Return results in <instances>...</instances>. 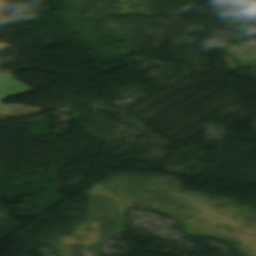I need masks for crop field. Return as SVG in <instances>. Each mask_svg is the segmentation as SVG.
<instances>
[{"mask_svg":"<svg viewBox=\"0 0 256 256\" xmlns=\"http://www.w3.org/2000/svg\"><path fill=\"white\" fill-rule=\"evenodd\" d=\"M0 114H6L1 102H0Z\"/></svg>","mask_w":256,"mask_h":256,"instance_id":"2","label":"crop field"},{"mask_svg":"<svg viewBox=\"0 0 256 256\" xmlns=\"http://www.w3.org/2000/svg\"><path fill=\"white\" fill-rule=\"evenodd\" d=\"M30 89L18 82L10 73L0 75V100Z\"/></svg>","mask_w":256,"mask_h":256,"instance_id":"1","label":"crop field"}]
</instances>
